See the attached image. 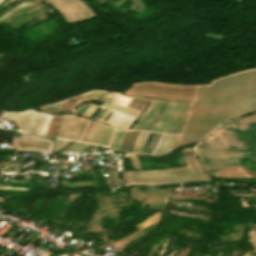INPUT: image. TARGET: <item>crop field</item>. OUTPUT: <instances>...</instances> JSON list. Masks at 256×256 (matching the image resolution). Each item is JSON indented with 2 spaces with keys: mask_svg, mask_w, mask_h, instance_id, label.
<instances>
[{
  "mask_svg": "<svg viewBox=\"0 0 256 256\" xmlns=\"http://www.w3.org/2000/svg\"><path fill=\"white\" fill-rule=\"evenodd\" d=\"M125 97L126 96L113 94V93H110V92L89 91V92L83 94V96L81 97L80 100L88 99V98H95V99L107 100V101H110V102H113L115 104L120 105ZM129 99H130V97H126L121 105L125 106L126 103L129 101Z\"/></svg>",
  "mask_w": 256,
  "mask_h": 256,
  "instance_id": "crop-field-5",
  "label": "crop field"
},
{
  "mask_svg": "<svg viewBox=\"0 0 256 256\" xmlns=\"http://www.w3.org/2000/svg\"><path fill=\"white\" fill-rule=\"evenodd\" d=\"M19 147L49 150L50 142L46 140L22 135Z\"/></svg>",
  "mask_w": 256,
  "mask_h": 256,
  "instance_id": "crop-field-6",
  "label": "crop field"
},
{
  "mask_svg": "<svg viewBox=\"0 0 256 256\" xmlns=\"http://www.w3.org/2000/svg\"><path fill=\"white\" fill-rule=\"evenodd\" d=\"M244 255H245V256H249L248 253H245Z\"/></svg>",
  "mask_w": 256,
  "mask_h": 256,
  "instance_id": "crop-field-21",
  "label": "crop field"
},
{
  "mask_svg": "<svg viewBox=\"0 0 256 256\" xmlns=\"http://www.w3.org/2000/svg\"><path fill=\"white\" fill-rule=\"evenodd\" d=\"M135 239H137V238H135V237L133 236V237H131V238H129V239H127V240L121 242L120 245H119V247L117 248V250L122 251V249L125 247V245H126L127 243H129V242H131V241H133V240H135Z\"/></svg>",
  "mask_w": 256,
  "mask_h": 256,
  "instance_id": "crop-field-16",
  "label": "crop field"
},
{
  "mask_svg": "<svg viewBox=\"0 0 256 256\" xmlns=\"http://www.w3.org/2000/svg\"><path fill=\"white\" fill-rule=\"evenodd\" d=\"M0 189H20V190H29V189H21V188H10V187H1Z\"/></svg>",
  "mask_w": 256,
  "mask_h": 256,
  "instance_id": "crop-field-17",
  "label": "crop field"
},
{
  "mask_svg": "<svg viewBox=\"0 0 256 256\" xmlns=\"http://www.w3.org/2000/svg\"><path fill=\"white\" fill-rule=\"evenodd\" d=\"M159 215H160V212H158V213L148 217L145 221H143L142 223L136 225L135 227L138 230L140 229L141 231H143V230L147 229L148 227H150L151 225H153L154 223H156L157 221H159ZM140 230L135 232V233H133V234H131V235H129V236H127V237H125V238H123V239H121V240H119V241H117V242H115V243H113V245L118 246V244L121 241H123V240H125V239H127V238H129V237H131V236L141 232Z\"/></svg>",
  "mask_w": 256,
  "mask_h": 256,
  "instance_id": "crop-field-9",
  "label": "crop field"
},
{
  "mask_svg": "<svg viewBox=\"0 0 256 256\" xmlns=\"http://www.w3.org/2000/svg\"><path fill=\"white\" fill-rule=\"evenodd\" d=\"M164 104L165 102L153 101L133 129L146 130Z\"/></svg>",
  "mask_w": 256,
  "mask_h": 256,
  "instance_id": "crop-field-4",
  "label": "crop field"
},
{
  "mask_svg": "<svg viewBox=\"0 0 256 256\" xmlns=\"http://www.w3.org/2000/svg\"><path fill=\"white\" fill-rule=\"evenodd\" d=\"M96 108V105L90 104V106L87 108V110L84 112V115L90 116V114L93 112V110ZM108 112V109L104 108L103 111L98 115L97 119L102 120V118L105 116V114Z\"/></svg>",
  "mask_w": 256,
  "mask_h": 256,
  "instance_id": "crop-field-13",
  "label": "crop field"
},
{
  "mask_svg": "<svg viewBox=\"0 0 256 256\" xmlns=\"http://www.w3.org/2000/svg\"><path fill=\"white\" fill-rule=\"evenodd\" d=\"M218 256H220V253L218 254Z\"/></svg>",
  "mask_w": 256,
  "mask_h": 256,
  "instance_id": "crop-field-22",
  "label": "crop field"
},
{
  "mask_svg": "<svg viewBox=\"0 0 256 256\" xmlns=\"http://www.w3.org/2000/svg\"><path fill=\"white\" fill-rule=\"evenodd\" d=\"M235 74L226 77L219 78L211 82L210 90L209 85L199 86H176L164 83H140L133 85L147 86L161 89L181 90L196 92H181L171 90H161L146 88L140 86H133L132 89L126 91V95H144L160 97L164 99L174 101H193L195 100L191 108L189 118L184 129L180 145L190 143L192 134V126L195 118V113L198 105L200 87V99L196 113V118L193 126V134L191 142L199 139L201 122L204 114L206 97V109L202 122L200 137L208 134L214 127L221 124L222 121L227 119L228 108L231 99L232 88L234 86ZM256 109V69L246 70L244 72H238L236 74L235 86L233 88L231 104L228 113V119L233 116L245 113L247 111Z\"/></svg>",
  "mask_w": 256,
  "mask_h": 256,
  "instance_id": "crop-field-1",
  "label": "crop field"
},
{
  "mask_svg": "<svg viewBox=\"0 0 256 256\" xmlns=\"http://www.w3.org/2000/svg\"><path fill=\"white\" fill-rule=\"evenodd\" d=\"M205 256V255H204Z\"/></svg>",
  "mask_w": 256,
  "mask_h": 256,
  "instance_id": "crop-field-23",
  "label": "crop field"
},
{
  "mask_svg": "<svg viewBox=\"0 0 256 256\" xmlns=\"http://www.w3.org/2000/svg\"><path fill=\"white\" fill-rule=\"evenodd\" d=\"M251 232H252V231H251ZM253 233H254V232H253ZM254 234H255V233H254ZM251 235L256 239V236H255V235H253L252 233H251ZM251 235H250V238H252V239L256 242V240H255ZM252 239H250V240L256 245V243H255Z\"/></svg>",
  "mask_w": 256,
  "mask_h": 256,
  "instance_id": "crop-field-18",
  "label": "crop field"
},
{
  "mask_svg": "<svg viewBox=\"0 0 256 256\" xmlns=\"http://www.w3.org/2000/svg\"><path fill=\"white\" fill-rule=\"evenodd\" d=\"M81 97V95H79V97L76 99V101L73 103V105L71 106V108L68 110L71 111V109L73 108V106L75 105V103L78 101V99ZM63 103V101L59 102V103H55V104H51V105H47V106H44V109H47L49 111H53V112H56L57 109L60 107V105Z\"/></svg>",
  "mask_w": 256,
  "mask_h": 256,
  "instance_id": "crop-field-14",
  "label": "crop field"
},
{
  "mask_svg": "<svg viewBox=\"0 0 256 256\" xmlns=\"http://www.w3.org/2000/svg\"><path fill=\"white\" fill-rule=\"evenodd\" d=\"M133 120H134V117L115 111L111 115V117L107 120V122H110L112 124L128 129V127L130 126Z\"/></svg>",
  "mask_w": 256,
  "mask_h": 256,
  "instance_id": "crop-field-8",
  "label": "crop field"
},
{
  "mask_svg": "<svg viewBox=\"0 0 256 256\" xmlns=\"http://www.w3.org/2000/svg\"><path fill=\"white\" fill-rule=\"evenodd\" d=\"M171 103H169L168 104V106L165 108V110L161 113V115L157 118V120L154 122V124L150 127V129H149V131H151V129L154 127V125L157 123V121L160 119V117L163 115V113L166 111V109L169 107V105H170ZM173 106V104H171V106L168 108V110L165 112V114L162 116V118L159 120V122L156 124V126L153 128V130L152 131H155V129L157 128V126L159 125V123L162 121V119L165 117V115L167 114V112L170 110V108ZM175 106H176V104H175ZM174 106V107H175ZM180 106L181 105H179V104H177V106L174 108V110L172 111V113H171V111H170V115H169V117H168V115H167V119H166V121H165V119H164V124H163V122L161 123V128H160V126L158 127V131L159 132H161L162 130H163V128L166 126V124L169 122V120L172 118V116L176 113V111L180 108ZM190 106L191 105H188L187 106V108L185 109L184 107H185V105H182L181 106V108L177 111V113L174 115V117L171 119V121L168 123V125L165 127V129L163 130V132H166L168 129H169V127L173 124V122L176 120V118L179 116V114L181 113V111L183 110V108L185 109V111L182 113V115L179 117V119L174 123V125L168 130V132H170V133H177V134H180L181 133V130H182V127H183V125H184V121H185V118H186V116H187V114H188V111H189V108H190ZM156 130V131H157Z\"/></svg>",
  "mask_w": 256,
  "mask_h": 256,
  "instance_id": "crop-field-3",
  "label": "crop field"
},
{
  "mask_svg": "<svg viewBox=\"0 0 256 256\" xmlns=\"http://www.w3.org/2000/svg\"><path fill=\"white\" fill-rule=\"evenodd\" d=\"M119 132H120V131H118L117 134H116V137H115V139H114V142H113V144H112V147H113V145H114V143H115V141H116V139H117V137H118ZM121 133H122V132H120L119 137H120ZM123 133H124V132H123ZM123 133H122V135H123ZM145 133H146V132H145ZM145 133H144V135H145ZM148 133H149V132H148ZM148 133H147V135H148ZM122 135H121V137H120V140H121V138H122ZM142 135H143V132H140L131 152H133V153L136 152L137 146H138V144H139V142H140V139H141ZM144 135H143V137H144ZM147 135H146V137H147ZM119 137H118V139H117V142H118V140H119ZM143 137H142V139H143ZM144 138H145V137H144ZM142 139H141V141H142ZM120 140H119V142H118V145H119V143H120ZM143 140H144V139H143ZM145 140H146V138H145ZM145 140H144V142H145ZM117 142H116V144H115V147H116V145H117ZM142 142H143V141H142ZM140 144H141V142H140ZM140 144H139V146H138V149H139V147H140ZM118 145H117L116 149H115V147H114L115 150H117ZM141 145H142V144H141ZM143 145H144V143H143ZM143 145H142V147H143ZM112 147H111V149H112ZM142 147H141V149H142ZM111 149H110V150H111ZM114 149H113V150H114ZM138 149H137V152H138ZM139 150H140V149H139ZM137 152H136V153H137Z\"/></svg>",
  "mask_w": 256,
  "mask_h": 256,
  "instance_id": "crop-field-11",
  "label": "crop field"
},
{
  "mask_svg": "<svg viewBox=\"0 0 256 256\" xmlns=\"http://www.w3.org/2000/svg\"><path fill=\"white\" fill-rule=\"evenodd\" d=\"M88 144L86 143H80L77 142L76 144H74L72 147H70L68 150L66 151H81L84 147H86Z\"/></svg>",
  "mask_w": 256,
  "mask_h": 256,
  "instance_id": "crop-field-15",
  "label": "crop field"
},
{
  "mask_svg": "<svg viewBox=\"0 0 256 256\" xmlns=\"http://www.w3.org/2000/svg\"><path fill=\"white\" fill-rule=\"evenodd\" d=\"M43 114H40V116H39V118H38V121H37V123H36V125H35V128H34V132H38V129H39V127H40V124H41V121H42V119H43ZM66 116V115H65ZM49 117H50V115H45L44 116V119H43V121H42V124H41V127H40V129H39V134H44V131H45V128H46V125H47V123H48V120H49ZM52 117L53 116H51L50 117V120H49V123H48V126H47V128H46V131H45V134H46V132H47V129H48V127H49V124H50V122H51V119H52ZM67 117V116H66ZM69 117V116H68ZM68 117H67V119H68ZM65 118V117H64ZM75 118L76 117H74V116H70L69 117V119H68V122H67V119H66V122H67V124H66V122H65V124H66V127H65V129H64V127H63V129H64V131H63V129H62V131H63V134H62V131H61V134H62V136H61V134H60V136L61 137H63V138H67L68 137V135H69V132H70V130H71V127H72V125H73V123H74V120H75ZM79 119V118H78ZM83 120L84 119H82V122H83ZM63 121H64V119H63ZM63 121H62V123H63ZM88 121L89 120H87V119H85L84 120V122H83V124H82V122H81V124H82V127H81V124H80V127H81V129H80V127H79V129H80V131H79V134L77 133V131H76V133L78 134V136L76 135V133H75V135L77 136V140H81L82 139V137H83V134H84V131H85V129H86V126H87V123H88ZM77 122H78V120H77ZM65 124H64V126H65ZM77 124V123H76ZM62 125V124H61ZM75 127H76V125H75ZM60 128H61V126H60ZM60 128H59V130H60ZM74 130H75V128H74ZM114 128H111V127H109V126H107V125H104V124H100V123H96V122H92V124H91V126H90V129H89V131H88V133H87V136H86V138H85V142H90V143H98V144H105V145H108L109 144V142H110V139H111V137H112V135H113V132H114ZM73 131V130H72ZM58 133H59V131H58ZM58 133H57V135H58ZM72 133V132H71ZM73 133H74V131H73ZM73 133H72V135H73ZM44 134V135H45ZM56 135V136H57ZM59 136V135H58ZM59 136V137H60ZM71 136V135H70ZM70 138V137H69ZM71 138H72V136H71ZM70 138V139H71ZM74 138H75V136H74ZM73 138V139H74Z\"/></svg>",
  "mask_w": 256,
  "mask_h": 256,
  "instance_id": "crop-field-2",
  "label": "crop field"
},
{
  "mask_svg": "<svg viewBox=\"0 0 256 256\" xmlns=\"http://www.w3.org/2000/svg\"><path fill=\"white\" fill-rule=\"evenodd\" d=\"M19 6H20V5H19ZM23 6H24V5H23ZM17 7H18V6H17ZM21 7H22V6H21ZM7 13H8V12H7ZM5 14H6V13H5ZM5 14H4V15H5ZM4 15H3V16H4ZM6 15H7V14H6ZM6 15H5V16H6ZM5 16H4V17H5ZM1 17H2V16H1ZM1 17H0V18H1ZM4 17H2V18H4ZM2 18H1V19H2ZM1 19H0V20H1Z\"/></svg>",
  "mask_w": 256,
  "mask_h": 256,
  "instance_id": "crop-field-20",
  "label": "crop field"
},
{
  "mask_svg": "<svg viewBox=\"0 0 256 256\" xmlns=\"http://www.w3.org/2000/svg\"><path fill=\"white\" fill-rule=\"evenodd\" d=\"M103 106H106V107H109L111 109L126 113V114L134 116V117H136L137 114H138V112H136L134 110L126 109V108L120 107L118 105L112 104V103L107 102V101L104 102Z\"/></svg>",
  "mask_w": 256,
  "mask_h": 256,
  "instance_id": "crop-field-12",
  "label": "crop field"
},
{
  "mask_svg": "<svg viewBox=\"0 0 256 256\" xmlns=\"http://www.w3.org/2000/svg\"><path fill=\"white\" fill-rule=\"evenodd\" d=\"M37 1H39V0H37ZM37 1H35V2H37ZM35 2H34V3H35ZM32 4H33V3H32ZM29 5H30V4H29ZM27 6H28V5H27ZM24 7H25V6H24ZM22 8H23V7H22ZM20 9H21V8H20ZM18 10H19V9H18ZM15 11H17V10H15ZM15 11H13L12 13H14ZM12 13H10V14H12ZM10 14H9V15H10ZM9 15H7L6 17H8ZM6 17H5V18H6ZM5 18H4V19H5ZM4 19H3V20H4ZM3 20H2V21H3ZM0 22H1V21H0Z\"/></svg>",
  "mask_w": 256,
  "mask_h": 256,
  "instance_id": "crop-field-19",
  "label": "crop field"
},
{
  "mask_svg": "<svg viewBox=\"0 0 256 256\" xmlns=\"http://www.w3.org/2000/svg\"><path fill=\"white\" fill-rule=\"evenodd\" d=\"M28 111H29V110H28ZM28 111H27V112H28ZM25 112H26V111H23V112H21V113L19 112L20 114L18 113L19 115L17 114L18 116L16 115L17 117L15 116L16 118L14 117L15 119L13 118L14 120H13V119H12V120L15 122V121H16L22 114H24ZM29 112H30V111H29ZM29 112H28V113H29ZM31 112H32V111H31ZM31 112H30V113H31ZM33 112H34V111H33ZM33 112H32V113H33ZM30 113H29V114H30ZM32 113H31V114H32ZM34 113H35V112H34ZM34 113H33V114H34ZM37 113H38V112H37ZM37 113H36V114H37ZM5 114H6V113H5ZM5 114H3L2 117H3ZM15 114H16V113H7V114L4 116V118L10 119V118H12ZM26 114H27V113H26ZM26 114H25V115H26ZM29 114H28V115H29ZM31 114H30V115H31ZM36 114H35V115H36ZM25 115H24V116H25ZM28 115H26L25 117L23 116L24 118L21 116L23 119L20 120V119H21V118H20V119H19L20 121L18 120L19 122H18V121H17L18 123L16 122L17 125L20 124ZM35 115H34V116H35ZM32 116H33V115H32ZM32 116H31V117H32ZM34 116H33V117H34ZM29 117H30V116H29ZM29 117H28V118H29ZM31 117H30V118H31ZM33 117H32V118H33ZM35 117H36V116H35ZM35 117H34V118H35ZM28 118H27V119H28ZM30 118H29V119H30ZM32 118H31V119H32ZM34 118H33V119H34ZM27 119H26V120H27ZM29 119H28V120H29ZM31 119H30V120H31ZM33 119H32V120H33ZM30 120H29V121H30ZM32 120H31V121H32ZM29 121H27V122H29ZM31 121H30V122H31ZM27 122H26V123H27ZM30 122H29V123H30ZM32 122H33V121H32ZM32 122H31L30 124L27 123L28 125L24 122V123L27 125V126H26V125L23 123L26 127L21 123V124L25 127V128H24V127L20 124L24 129H23L20 125H19V126L23 129V131L28 132V130H29V128H30ZM18 128H19V127H18ZM22 129H20V130H22ZM30 129H31V128H30Z\"/></svg>",
  "mask_w": 256,
  "mask_h": 256,
  "instance_id": "crop-field-10",
  "label": "crop field"
},
{
  "mask_svg": "<svg viewBox=\"0 0 256 256\" xmlns=\"http://www.w3.org/2000/svg\"><path fill=\"white\" fill-rule=\"evenodd\" d=\"M162 136H163V134H162ZM162 136L160 137V139L158 140L157 144L155 145V147H154L153 150L151 151V154H153V152H154L155 148L157 147L159 141L161 140ZM167 136H168V134H164V136H163L162 140L160 141L158 147L156 148L154 154H157L159 148L161 147V145L163 144V142H164V140L166 139ZM178 137H179V136L170 135V137L168 138L167 142H166L165 145L163 146L162 150L160 149V150H161V152L159 151L160 154H164V153H166V152H168V151L173 150V148H174V146H175V144H176V142H177V140H178ZM158 154H159V153H158Z\"/></svg>",
  "mask_w": 256,
  "mask_h": 256,
  "instance_id": "crop-field-7",
  "label": "crop field"
}]
</instances>
